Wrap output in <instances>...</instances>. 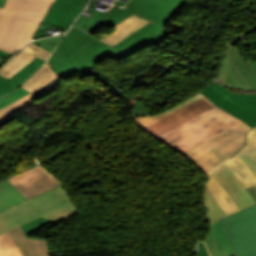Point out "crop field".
<instances>
[{
  "instance_id": "crop-field-34",
  "label": "crop field",
  "mask_w": 256,
  "mask_h": 256,
  "mask_svg": "<svg viewBox=\"0 0 256 256\" xmlns=\"http://www.w3.org/2000/svg\"><path fill=\"white\" fill-rule=\"evenodd\" d=\"M60 39H61V36H57V37L46 38L39 41H34L33 43L37 45L40 44L41 47L52 52L53 49L58 45Z\"/></svg>"
},
{
  "instance_id": "crop-field-22",
  "label": "crop field",
  "mask_w": 256,
  "mask_h": 256,
  "mask_svg": "<svg viewBox=\"0 0 256 256\" xmlns=\"http://www.w3.org/2000/svg\"><path fill=\"white\" fill-rule=\"evenodd\" d=\"M207 187L227 215L239 210L230 196L225 192L211 173L209 175ZM222 204H224V206H222Z\"/></svg>"
},
{
  "instance_id": "crop-field-36",
  "label": "crop field",
  "mask_w": 256,
  "mask_h": 256,
  "mask_svg": "<svg viewBox=\"0 0 256 256\" xmlns=\"http://www.w3.org/2000/svg\"><path fill=\"white\" fill-rule=\"evenodd\" d=\"M196 256H210L203 242H198V253Z\"/></svg>"
},
{
  "instance_id": "crop-field-13",
  "label": "crop field",
  "mask_w": 256,
  "mask_h": 256,
  "mask_svg": "<svg viewBox=\"0 0 256 256\" xmlns=\"http://www.w3.org/2000/svg\"><path fill=\"white\" fill-rule=\"evenodd\" d=\"M211 173L226 190V192L231 196L240 210L256 204L246 189L243 187V185L232 174V172L226 167L224 163Z\"/></svg>"
},
{
  "instance_id": "crop-field-12",
  "label": "crop field",
  "mask_w": 256,
  "mask_h": 256,
  "mask_svg": "<svg viewBox=\"0 0 256 256\" xmlns=\"http://www.w3.org/2000/svg\"><path fill=\"white\" fill-rule=\"evenodd\" d=\"M86 11L91 13L92 16L87 18L81 14L80 17L76 20L74 26L79 27L91 34H93V32L99 26L104 25L106 27H112L133 14L127 9H121L119 7H112L106 13L95 10V7H89Z\"/></svg>"
},
{
  "instance_id": "crop-field-30",
  "label": "crop field",
  "mask_w": 256,
  "mask_h": 256,
  "mask_svg": "<svg viewBox=\"0 0 256 256\" xmlns=\"http://www.w3.org/2000/svg\"><path fill=\"white\" fill-rule=\"evenodd\" d=\"M22 50L46 61V59L48 58V56L50 55L51 52L33 44V43H30L28 44L27 46H25Z\"/></svg>"
},
{
  "instance_id": "crop-field-20",
  "label": "crop field",
  "mask_w": 256,
  "mask_h": 256,
  "mask_svg": "<svg viewBox=\"0 0 256 256\" xmlns=\"http://www.w3.org/2000/svg\"><path fill=\"white\" fill-rule=\"evenodd\" d=\"M44 61L36 58L18 73H16L9 80L0 76V95L6 94L14 90L22 81H24L30 74H32ZM23 83V82H22Z\"/></svg>"
},
{
  "instance_id": "crop-field-18",
  "label": "crop field",
  "mask_w": 256,
  "mask_h": 256,
  "mask_svg": "<svg viewBox=\"0 0 256 256\" xmlns=\"http://www.w3.org/2000/svg\"><path fill=\"white\" fill-rule=\"evenodd\" d=\"M220 74L221 75H219L218 80L225 85L235 88L237 90L252 91V89L247 84L243 76L240 74L227 53L225 55Z\"/></svg>"
},
{
  "instance_id": "crop-field-35",
  "label": "crop field",
  "mask_w": 256,
  "mask_h": 256,
  "mask_svg": "<svg viewBox=\"0 0 256 256\" xmlns=\"http://www.w3.org/2000/svg\"><path fill=\"white\" fill-rule=\"evenodd\" d=\"M143 105L139 101H137L134 109L131 111L132 115L153 113Z\"/></svg>"
},
{
  "instance_id": "crop-field-31",
  "label": "crop field",
  "mask_w": 256,
  "mask_h": 256,
  "mask_svg": "<svg viewBox=\"0 0 256 256\" xmlns=\"http://www.w3.org/2000/svg\"><path fill=\"white\" fill-rule=\"evenodd\" d=\"M252 174L256 177V151L239 156Z\"/></svg>"
},
{
  "instance_id": "crop-field-9",
  "label": "crop field",
  "mask_w": 256,
  "mask_h": 256,
  "mask_svg": "<svg viewBox=\"0 0 256 256\" xmlns=\"http://www.w3.org/2000/svg\"><path fill=\"white\" fill-rule=\"evenodd\" d=\"M162 28L163 27L153 22L148 23L122 42L120 41L121 43L112 47L117 51L108 57L116 60L117 62H121L131 54L159 42L161 39L170 34Z\"/></svg>"
},
{
  "instance_id": "crop-field-5",
  "label": "crop field",
  "mask_w": 256,
  "mask_h": 256,
  "mask_svg": "<svg viewBox=\"0 0 256 256\" xmlns=\"http://www.w3.org/2000/svg\"><path fill=\"white\" fill-rule=\"evenodd\" d=\"M251 128L243 122L181 154L208 175L211 170L232 156L244 145L246 132Z\"/></svg>"
},
{
  "instance_id": "crop-field-23",
  "label": "crop field",
  "mask_w": 256,
  "mask_h": 256,
  "mask_svg": "<svg viewBox=\"0 0 256 256\" xmlns=\"http://www.w3.org/2000/svg\"><path fill=\"white\" fill-rule=\"evenodd\" d=\"M241 74L244 76L253 91H256V71L249 60L244 61L237 50L232 46L227 52Z\"/></svg>"
},
{
  "instance_id": "crop-field-25",
  "label": "crop field",
  "mask_w": 256,
  "mask_h": 256,
  "mask_svg": "<svg viewBox=\"0 0 256 256\" xmlns=\"http://www.w3.org/2000/svg\"><path fill=\"white\" fill-rule=\"evenodd\" d=\"M26 200L7 180L0 182V211Z\"/></svg>"
},
{
  "instance_id": "crop-field-14",
  "label": "crop field",
  "mask_w": 256,
  "mask_h": 256,
  "mask_svg": "<svg viewBox=\"0 0 256 256\" xmlns=\"http://www.w3.org/2000/svg\"><path fill=\"white\" fill-rule=\"evenodd\" d=\"M88 0H56L44 22L65 30L83 10ZM61 17V18H59Z\"/></svg>"
},
{
  "instance_id": "crop-field-28",
  "label": "crop field",
  "mask_w": 256,
  "mask_h": 256,
  "mask_svg": "<svg viewBox=\"0 0 256 256\" xmlns=\"http://www.w3.org/2000/svg\"><path fill=\"white\" fill-rule=\"evenodd\" d=\"M205 200L209 209V214L205 221L226 216L225 212L222 210V208L219 206V204L216 202V200L213 198L207 188L205 192Z\"/></svg>"
},
{
  "instance_id": "crop-field-41",
  "label": "crop field",
  "mask_w": 256,
  "mask_h": 256,
  "mask_svg": "<svg viewBox=\"0 0 256 256\" xmlns=\"http://www.w3.org/2000/svg\"><path fill=\"white\" fill-rule=\"evenodd\" d=\"M250 62L253 64V66H254V68L256 70V62H252V61H250Z\"/></svg>"
},
{
  "instance_id": "crop-field-32",
  "label": "crop field",
  "mask_w": 256,
  "mask_h": 256,
  "mask_svg": "<svg viewBox=\"0 0 256 256\" xmlns=\"http://www.w3.org/2000/svg\"><path fill=\"white\" fill-rule=\"evenodd\" d=\"M252 150H256V127L249 131L247 135V144L236 155H239L248 151H252Z\"/></svg>"
},
{
  "instance_id": "crop-field-4",
  "label": "crop field",
  "mask_w": 256,
  "mask_h": 256,
  "mask_svg": "<svg viewBox=\"0 0 256 256\" xmlns=\"http://www.w3.org/2000/svg\"><path fill=\"white\" fill-rule=\"evenodd\" d=\"M241 122L243 121L215 107L156 138L181 153Z\"/></svg>"
},
{
  "instance_id": "crop-field-8",
  "label": "crop field",
  "mask_w": 256,
  "mask_h": 256,
  "mask_svg": "<svg viewBox=\"0 0 256 256\" xmlns=\"http://www.w3.org/2000/svg\"><path fill=\"white\" fill-rule=\"evenodd\" d=\"M200 93L221 109L243 120L252 127L256 126V94H231L217 82L211 83Z\"/></svg>"
},
{
  "instance_id": "crop-field-38",
  "label": "crop field",
  "mask_w": 256,
  "mask_h": 256,
  "mask_svg": "<svg viewBox=\"0 0 256 256\" xmlns=\"http://www.w3.org/2000/svg\"><path fill=\"white\" fill-rule=\"evenodd\" d=\"M0 56L6 59L10 55L0 51Z\"/></svg>"
},
{
  "instance_id": "crop-field-29",
  "label": "crop field",
  "mask_w": 256,
  "mask_h": 256,
  "mask_svg": "<svg viewBox=\"0 0 256 256\" xmlns=\"http://www.w3.org/2000/svg\"><path fill=\"white\" fill-rule=\"evenodd\" d=\"M28 93L30 92L20 87L19 89L0 97V109ZM5 97L7 99H4Z\"/></svg>"
},
{
  "instance_id": "crop-field-15",
  "label": "crop field",
  "mask_w": 256,
  "mask_h": 256,
  "mask_svg": "<svg viewBox=\"0 0 256 256\" xmlns=\"http://www.w3.org/2000/svg\"><path fill=\"white\" fill-rule=\"evenodd\" d=\"M209 236L204 240L211 256H234V251L219 219L209 222Z\"/></svg>"
},
{
  "instance_id": "crop-field-10",
  "label": "crop field",
  "mask_w": 256,
  "mask_h": 256,
  "mask_svg": "<svg viewBox=\"0 0 256 256\" xmlns=\"http://www.w3.org/2000/svg\"><path fill=\"white\" fill-rule=\"evenodd\" d=\"M187 0H132L125 7L135 14L164 26Z\"/></svg>"
},
{
  "instance_id": "crop-field-19",
  "label": "crop field",
  "mask_w": 256,
  "mask_h": 256,
  "mask_svg": "<svg viewBox=\"0 0 256 256\" xmlns=\"http://www.w3.org/2000/svg\"><path fill=\"white\" fill-rule=\"evenodd\" d=\"M56 77H58V75L51 70L48 62H46L36 73L22 84V87L28 89L35 95Z\"/></svg>"
},
{
  "instance_id": "crop-field-39",
  "label": "crop field",
  "mask_w": 256,
  "mask_h": 256,
  "mask_svg": "<svg viewBox=\"0 0 256 256\" xmlns=\"http://www.w3.org/2000/svg\"><path fill=\"white\" fill-rule=\"evenodd\" d=\"M129 0H127V2H128ZM126 2V3H127ZM114 4H116V5H119V6H123L125 3H123V2H120V1H115V3Z\"/></svg>"
},
{
  "instance_id": "crop-field-17",
  "label": "crop field",
  "mask_w": 256,
  "mask_h": 256,
  "mask_svg": "<svg viewBox=\"0 0 256 256\" xmlns=\"http://www.w3.org/2000/svg\"><path fill=\"white\" fill-rule=\"evenodd\" d=\"M148 22L149 21L141 19L133 14L119 24L115 25L114 30L99 39L113 46Z\"/></svg>"
},
{
  "instance_id": "crop-field-11",
  "label": "crop field",
  "mask_w": 256,
  "mask_h": 256,
  "mask_svg": "<svg viewBox=\"0 0 256 256\" xmlns=\"http://www.w3.org/2000/svg\"><path fill=\"white\" fill-rule=\"evenodd\" d=\"M8 180L27 199L59 185L56 178L40 165Z\"/></svg>"
},
{
  "instance_id": "crop-field-16",
  "label": "crop field",
  "mask_w": 256,
  "mask_h": 256,
  "mask_svg": "<svg viewBox=\"0 0 256 256\" xmlns=\"http://www.w3.org/2000/svg\"><path fill=\"white\" fill-rule=\"evenodd\" d=\"M22 256L51 255L45 239L25 237L21 227L10 231Z\"/></svg>"
},
{
  "instance_id": "crop-field-37",
  "label": "crop field",
  "mask_w": 256,
  "mask_h": 256,
  "mask_svg": "<svg viewBox=\"0 0 256 256\" xmlns=\"http://www.w3.org/2000/svg\"><path fill=\"white\" fill-rule=\"evenodd\" d=\"M247 191L250 193V195L256 201V187L253 186V187L247 188Z\"/></svg>"
},
{
  "instance_id": "crop-field-40",
  "label": "crop field",
  "mask_w": 256,
  "mask_h": 256,
  "mask_svg": "<svg viewBox=\"0 0 256 256\" xmlns=\"http://www.w3.org/2000/svg\"><path fill=\"white\" fill-rule=\"evenodd\" d=\"M5 1H6V0H0V7H3V6H4Z\"/></svg>"
},
{
  "instance_id": "crop-field-6",
  "label": "crop field",
  "mask_w": 256,
  "mask_h": 256,
  "mask_svg": "<svg viewBox=\"0 0 256 256\" xmlns=\"http://www.w3.org/2000/svg\"><path fill=\"white\" fill-rule=\"evenodd\" d=\"M215 106L210 100L199 93L181 104L151 118L149 116H143L133 119L157 136Z\"/></svg>"
},
{
  "instance_id": "crop-field-3",
  "label": "crop field",
  "mask_w": 256,
  "mask_h": 256,
  "mask_svg": "<svg viewBox=\"0 0 256 256\" xmlns=\"http://www.w3.org/2000/svg\"><path fill=\"white\" fill-rule=\"evenodd\" d=\"M79 213L61 186L0 213V235L41 215L55 225Z\"/></svg>"
},
{
  "instance_id": "crop-field-21",
  "label": "crop field",
  "mask_w": 256,
  "mask_h": 256,
  "mask_svg": "<svg viewBox=\"0 0 256 256\" xmlns=\"http://www.w3.org/2000/svg\"><path fill=\"white\" fill-rule=\"evenodd\" d=\"M59 77L55 79L51 84L45 87L42 91H40L35 96L30 93L25 97L13 102L12 104L8 105L7 107L0 110V122L5 119L6 117L12 115L13 113L22 110L29 105L33 104V101L47 93H49L52 89H54L59 81Z\"/></svg>"
},
{
  "instance_id": "crop-field-2",
  "label": "crop field",
  "mask_w": 256,
  "mask_h": 256,
  "mask_svg": "<svg viewBox=\"0 0 256 256\" xmlns=\"http://www.w3.org/2000/svg\"><path fill=\"white\" fill-rule=\"evenodd\" d=\"M55 0H7L0 8V49L14 52L31 40Z\"/></svg>"
},
{
  "instance_id": "crop-field-27",
  "label": "crop field",
  "mask_w": 256,
  "mask_h": 256,
  "mask_svg": "<svg viewBox=\"0 0 256 256\" xmlns=\"http://www.w3.org/2000/svg\"><path fill=\"white\" fill-rule=\"evenodd\" d=\"M0 256H21L9 232L0 236Z\"/></svg>"
},
{
  "instance_id": "crop-field-42",
  "label": "crop field",
  "mask_w": 256,
  "mask_h": 256,
  "mask_svg": "<svg viewBox=\"0 0 256 256\" xmlns=\"http://www.w3.org/2000/svg\"><path fill=\"white\" fill-rule=\"evenodd\" d=\"M1 60H4V59H2V58L0 57V61H1ZM1 63H2V62H0V64H1Z\"/></svg>"
},
{
  "instance_id": "crop-field-7",
  "label": "crop field",
  "mask_w": 256,
  "mask_h": 256,
  "mask_svg": "<svg viewBox=\"0 0 256 256\" xmlns=\"http://www.w3.org/2000/svg\"><path fill=\"white\" fill-rule=\"evenodd\" d=\"M221 218L237 256H256V206Z\"/></svg>"
},
{
  "instance_id": "crop-field-33",
  "label": "crop field",
  "mask_w": 256,
  "mask_h": 256,
  "mask_svg": "<svg viewBox=\"0 0 256 256\" xmlns=\"http://www.w3.org/2000/svg\"><path fill=\"white\" fill-rule=\"evenodd\" d=\"M48 222L49 221H47L46 219H44L43 217L40 216V217H38V218H36V219H34V220H32V221L22 225L21 227H22V229H23V231H24V233L26 235V234L32 232L33 230L41 227L42 225H44V224H46Z\"/></svg>"
},
{
  "instance_id": "crop-field-24",
  "label": "crop field",
  "mask_w": 256,
  "mask_h": 256,
  "mask_svg": "<svg viewBox=\"0 0 256 256\" xmlns=\"http://www.w3.org/2000/svg\"><path fill=\"white\" fill-rule=\"evenodd\" d=\"M227 167L234 173V175L240 180L245 188L255 185L256 179L239 159L238 156L224 162Z\"/></svg>"
},
{
  "instance_id": "crop-field-1",
  "label": "crop field",
  "mask_w": 256,
  "mask_h": 256,
  "mask_svg": "<svg viewBox=\"0 0 256 256\" xmlns=\"http://www.w3.org/2000/svg\"><path fill=\"white\" fill-rule=\"evenodd\" d=\"M114 51L89 34L71 27L49 62L53 70L68 79L97 65Z\"/></svg>"
},
{
  "instance_id": "crop-field-26",
  "label": "crop field",
  "mask_w": 256,
  "mask_h": 256,
  "mask_svg": "<svg viewBox=\"0 0 256 256\" xmlns=\"http://www.w3.org/2000/svg\"><path fill=\"white\" fill-rule=\"evenodd\" d=\"M34 56L24 52L20 51L1 71L0 75L10 78L13 76L16 72H18L21 68H23L26 64H28L30 61H32Z\"/></svg>"
}]
</instances>
